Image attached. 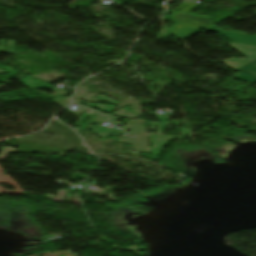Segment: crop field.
<instances>
[{
	"mask_svg": "<svg viewBox=\"0 0 256 256\" xmlns=\"http://www.w3.org/2000/svg\"><path fill=\"white\" fill-rule=\"evenodd\" d=\"M149 138L153 143L152 150H153L154 158L161 156L162 150L167 146L170 140L179 139L175 137L158 136V135H150Z\"/></svg>",
	"mask_w": 256,
	"mask_h": 256,
	"instance_id": "8a807250",
	"label": "crop field"
},
{
	"mask_svg": "<svg viewBox=\"0 0 256 256\" xmlns=\"http://www.w3.org/2000/svg\"><path fill=\"white\" fill-rule=\"evenodd\" d=\"M249 80H250V79L242 78V79H240L239 81L247 82V81H249Z\"/></svg>",
	"mask_w": 256,
	"mask_h": 256,
	"instance_id": "ac0d7876",
	"label": "crop field"
}]
</instances>
